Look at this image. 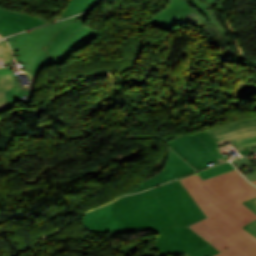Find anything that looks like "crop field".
Here are the masks:
<instances>
[{"mask_svg": "<svg viewBox=\"0 0 256 256\" xmlns=\"http://www.w3.org/2000/svg\"><path fill=\"white\" fill-rule=\"evenodd\" d=\"M200 1L205 5L206 9L210 8L209 5H207L203 0H200Z\"/></svg>", "mask_w": 256, "mask_h": 256, "instance_id": "5142ce71", "label": "crop field"}, {"mask_svg": "<svg viewBox=\"0 0 256 256\" xmlns=\"http://www.w3.org/2000/svg\"><path fill=\"white\" fill-rule=\"evenodd\" d=\"M207 218L190 226L220 253L256 256V238L241 227L256 219L241 201L256 196V187L236 170L203 180L197 173L179 179Z\"/></svg>", "mask_w": 256, "mask_h": 256, "instance_id": "ac0d7876", "label": "crop field"}, {"mask_svg": "<svg viewBox=\"0 0 256 256\" xmlns=\"http://www.w3.org/2000/svg\"><path fill=\"white\" fill-rule=\"evenodd\" d=\"M203 218L183 185L175 180L87 212L83 224L101 233L157 232L155 243L138 256H212L218 251L187 227Z\"/></svg>", "mask_w": 256, "mask_h": 256, "instance_id": "8a807250", "label": "crop field"}, {"mask_svg": "<svg viewBox=\"0 0 256 256\" xmlns=\"http://www.w3.org/2000/svg\"><path fill=\"white\" fill-rule=\"evenodd\" d=\"M166 143L197 170L207 168L206 164L213 161L219 164L195 133L184 134Z\"/></svg>", "mask_w": 256, "mask_h": 256, "instance_id": "f4fd0767", "label": "crop field"}, {"mask_svg": "<svg viewBox=\"0 0 256 256\" xmlns=\"http://www.w3.org/2000/svg\"><path fill=\"white\" fill-rule=\"evenodd\" d=\"M46 23L47 22L31 14L6 10L0 7V35L3 37L32 29Z\"/></svg>", "mask_w": 256, "mask_h": 256, "instance_id": "e52e79f7", "label": "crop field"}, {"mask_svg": "<svg viewBox=\"0 0 256 256\" xmlns=\"http://www.w3.org/2000/svg\"><path fill=\"white\" fill-rule=\"evenodd\" d=\"M187 2L190 3L192 6H194L199 12H201L210 23L213 22L221 33H223L224 35L229 34V32L219 22L212 8V6L217 5L219 3L215 1L214 3L210 4L212 9L206 10L204 5L199 0H187Z\"/></svg>", "mask_w": 256, "mask_h": 256, "instance_id": "5a996713", "label": "crop field"}, {"mask_svg": "<svg viewBox=\"0 0 256 256\" xmlns=\"http://www.w3.org/2000/svg\"><path fill=\"white\" fill-rule=\"evenodd\" d=\"M192 172H195V169L188 165L187 162H185L177 154H175V152L170 150L167 164L160 174L143 181L135 190L129 191L125 194L139 192Z\"/></svg>", "mask_w": 256, "mask_h": 256, "instance_id": "dd49c442", "label": "crop field"}, {"mask_svg": "<svg viewBox=\"0 0 256 256\" xmlns=\"http://www.w3.org/2000/svg\"><path fill=\"white\" fill-rule=\"evenodd\" d=\"M12 52L6 42H0V112L8 110L4 90L15 88L13 72L4 68L3 62H12Z\"/></svg>", "mask_w": 256, "mask_h": 256, "instance_id": "d8731c3e", "label": "crop field"}, {"mask_svg": "<svg viewBox=\"0 0 256 256\" xmlns=\"http://www.w3.org/2000/svg\"><path fill=\"white\" fill-rule=\"evenodd\" d=\"M239 153L241 154V156H243V155H246V154L253 153V150H252V148L244 149V150H240Z\"/></svg>", "mask_w": 256, "mask_h": 256, "instance_id": "cbeb9de0", "label": "crop field"}, {"mask_svg": "<svg viewBox=\"0 0 256 256\" xmlns=\"http://www.w3.org/2000/svg\"><path fill=\"white\" fill-rule=\"evenodd\" d=\"M3 38L2 36H0V39Z\"/></svg>", "mask_w": 256, "mask_h": 256, "instance_id": "4a817a6b", "label": "crop field"}, {"mask_svg": "<svg viewBox=\"0 0 256 256\" xmlns=\"http://www.w3.org/2000/svg\"><path fill=\"white\" fill-rule=\"evenodd\" d=\"M217 159L228 158L218 146L233 143L237 150L256 146V117L196 133Z\"/></svg>", "mask_w": 256, "mask_h": 256, "instance_id": "412701ff", "label": "crop field"}, {"mask_svg": "<svg viewBox=\"0 0 256 256\" xmlns=\"http://www.w3.org/2000/svg\"><path fill=\"white\" fill-rule=\"evenodd\" d=\"M232 162L236 165V167H237L238 169L243 168V167H246V166L252 164L246 157L241 158V159L234 160V161H232Z\"/></svg>", "mask_w": 256, "mask_h": 256, "instance_id": "22f410ed", "label": "crop field"}, {"mask_svg": "<svg viewBox=\"0 0 256 256\" xmlns=\"http://www.w3.org/2000/svg\"><path fill=\"white\" fill-rule=\"evenodd\" d=\"M98 0L86 12L58 23L7 37L15 60L24 64V72L31 87L23 88L14 75L16 89L5 91L9 110L16 101L31 104L35 78L42 66L59 65L74 51L87 45L98 33L82 24L84 18ZM167 7L151 17L150 25L168 31L193 9L184 0H169ZM47 47L46 50L42 47Z\"/></svg>", "mask_w": 256, "mask_h": 256, "instance_id": "34b2d1b8", "label": "crop field"}, {"mask_svg": "<svg viewBox=\"0 0 256 256\" xmlns=\"http://www.w3.org/2000/svg\"><path fill=\"white\" fill-rule=\"evenodd\" d=\"M234 169L230 162L197 172L203 179Z\"/></svg>", "mask_w": 256, "mask_h": 256, "instance_id": "28ad6ade", "label": "crop field"}, {"mask_svg": "<svg viewBox=\"0 0 256 256\" xmlns=\"http://www.w3.org/2000/svg\"><path fill=\"white\" fill-rule=\"evenodd\" d=\"M254 213H256V197L243 201ZM256 237V220L242 227Z\"/></svg>", "mask_w": 256, "mask_h": 256, "instance_id": "d1516ede", "label": "crop field"}, {"mask_svg": "<svg viewBox=\"0 0 256 256\" xmlns=\"http://www.w3.org/2000/svg\"><path fill=\"white\" fill-rule=\"evenodd\" d=\"M95 0H70L66 10L64 11L63 15L60 19L78 14L89 7Z\"/></svg>", "mask_w": 256, "mask_h": 256, "instance_id": "3316defc", "label": "crop field"}, {"mask_svg": "<svg viewBox=\"0 0 256 256\" xmlns=\"http://www.w3.org/2000/svg\"><path fill=\"white\" fill-rule=\"evenodd\" d=\"M206 3H211V2H213L214 0H204Z\"/></svg>", "mask_w": 256, "mask_h": 256, "instance_id": "d9b57169", "label": "crop field"}, {"mask_svg": "<svg viewBox=\"0 0 256 256\" xmlns=\"http://www.w3.org/2000/svg\"><path fill=\"white\" fill-rule=\"evenodd\" d=\"M252 183L256 184V181H253Z\"/></svg>", "mask_w": 256, "mask_h": 256, "instance_id": "733c2abd", "label": "crop field"}]
</instances>
